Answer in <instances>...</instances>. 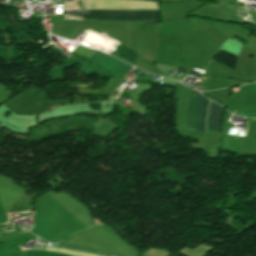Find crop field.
<instances>
[{"label": "crop field", "mask_w": 256, "mask_h": 256, "mask_svg": "<svg viewBox=\"0 0 256 256\" xmlns=\"http://www.w3.org/2000/svg\"><path fill=\"white\" fill-rule=\"evenodd\" d=\"M63 10H76V8ZM62 15H65V19L160 21L159 11L146 10L63 11Z\"/></svg>", "instance_id": "crop-field-1"}, {"label": "crop field", "mask_w": 256, "mask_h": 256, "mask_svg": "<svg viewBox=\"0 0 256 256\" xmlns=\"http://www.w3.org/2000/svg\"><path fill=\"white\" fill-rule=\"evenodd\" d=\"M198 96L199 94L197 92L191 89L189 90L181 127L192 130ZM208 102L209 100L204 98L202 95L199 96L194 128H193V130L195 131L205 133V114H206Z\"/></svg>", "instance_id": "crop-field-2"}, {"label": "crop field", "mask_w": 256, "mask_h": 256, "mask_svg": "<svg viewBox=\"0 0 256 256\" xmlns=\"http://www.w3.org/2000/svg\"><path fill=\"white\" fill-rule=\"evenodd\" d=\"M225 109L221 108L215 103H211L209 112H208V130L215 131L221 133L222 127V116L224 114Z\"/></svg>", "instance_id": "crop-field-3"}]
</instances>
